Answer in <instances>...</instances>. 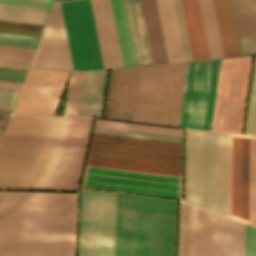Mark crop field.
<instances>
[{
	"label": "crop field",
	"mask_w": 256,
	"mask_h": 256,
	"mask_svg": "<svg viewBox=\"0 0 256 256\" xmlns=\"http://www.w3.org/2000/svg\"><path fill=\"white\" fill-rule=\"evenodd\" d=\"M227 134L186 129L185 201L226 216ZM227 216L256 226V137L228 134Z\"/></svg>",
	"instance_id": "obj_1"
},
{
	"label": "crop field",
	"mask_w": 256,
	"mask_h": 256,
	"mask_svg": "<svg viewBox=\"0 0 256 256\" xmlns=\"http://www.w3.org/2000/svg\"><path fill=\"white\" fill-rule=\"evenodd\" d=\"M77 193L0 191V256H74Z\"/></svg>",
	"instance_id": "obj_2"
},
{
	"label": "crop field",
	"mask_w": 256,
	"mask_h": 256,
	"mask_svg": "<svg viewBox=\"0 0 256 256\" xmlns=\"http://www.w3.org/2000/svg\"><path fill=\"white\" fill-rule=\"evenodd\" d=\"M85 150L0 145V189L77 191Z\"/></svg>",
	"instance_id": "obj_3"
},
{
	"label": "crop field",
	"mask_w": 256,
	"mask_h": 256,
	"mask_svg": "<svg viewBox=\"0 0 256 256\" xmlns=\"http://www.w3.org/2000/svg\"><path fill=\"white\" fill-rule=\"evenodd\" d=\"M176 201L117 194L114 256H174Z\"/></svg>",
	"instance_id": "obj_4"
},
{
	"label": "crop field",
	"mask_w": 256,
	"mask_h": 256,
	"mask_svg": "<svg viewBox=\"0 0 256 256\" xmlns=\"http://www.w3.org/2000/svg\"><path fill=\"white\" fill-rule=\"evenodd\" d=\"M86 164L180 176V144L93 133Z\"/></svg>",
	"instance_id": "obj_5"
},
{
	"label": "crop field",
	"mask_w": 256,
	"mask_h": 256,
	"mask_svg": "<svg viewBox=\"0 0 256 256\" xmlns=\"http://www.w3.org/2000/svg\"><path fill=\"white\" fill-rule=\"evenodd\" d=\"M73 69L103 68L90 1L60 3ZM69 51L37 49L31 67L72 69Z\"/></svg>",
	"instance_id": "obj_6"
},
{
	"label": "crop field",
	"mask_w": 256,
	"mask_h": 256,
	"mask_svg": "<svg viewBox=\"0 0 256 256\" xmlns=\"http://www.w3.org/2000/svg\"><path fill=\"white\" fill-rule=\"evenodd\" d=\"M186 66L142 67L134 121L177 126Z\"/></svg>",
	"instance_id": "obj_7"
},
{
	"label": "crop field",
	"mask_w": 256,
	"mask_h": 256,
	"mask_svg": "<svg viewBox=\"0 0 256 256\" xmlns=\"http://www.w3.org/2000/svg\"><path fill=\"white\" fill-rule=\"evenodd\" d=\"M220 63H188L178 126L211 130Z\"/></svg>",
	"instance_id": "obj_8"
},
{
	"label": "crop field",
	"mask_w": 256,
	"mask_h": 256,
	"mask_svg": "<svg viewBox=\"0 0 256 256\" xmlns=\"http://www.w3.org/2000/svg\"><path fill=\"white\" fill-rule=\"evenodd\" d=\"M251 59H222L212 130L241 133Z\"/></svg>",
	"instance_id": "obj_9"
},
{
	"label": "crop field",
	"mask_w": 256,
	"mask_h": 256,
	"mask_svg": "<svg viewBox=\"0 0 256 256\" xmlns=\"http://www.w3.org/2000/svg\"><path fill=\"white\" fill-rule=\"evenodd\" d=\"M96 191L82 189L78 256H93ZM116 194L97 191L94 256H113Z\"/></svg>",
	"instance_id": "obj_10"
},
{
	"label": "crop field",
	"mask_w": 256,
	"mask_h": 256,
	"mask_svg": "<svg viewBox=\"0 0 256 256\" xmlns=\"http://www.w3.org/2000/svg\"><path fill=\"white\" fill-rule=\"evenodd\" d=\"M82 187L180 199V177L87 165Z\"/></svg>",
	"instance_id": "obj_11"
},
{
	"label": "crop field",
	"mask_w": 256,
	"mask_h": 256,
	"mask_svg": "<svg viewBox=\"0 0 256 256\" xmlns=\"http://www.w3.org/2000/svg\"><path fill=\"white\" fill-rule=\"evenodd\" d=\"M67 71L29 68L13 113L52 115Z\"/></svg>",
	"instance_id": "obj_12"
},
{
	"label": "crop field",
	"mask_w": 256,
	"mask_h": 256,
	"mask_svg": "<svg viewBox=\"0 0 256 256\" xmlns=\"http://www.w3.org/2000/svg\"><path fill=\"white\" fill-rule=\"evenodd\" d=\"M195 207L182 202L180 256H193ZM220 215L196 207L194 256H218Z\"/></svg>",
	"instance_id": "obj_13"
},
{
	"label": "crop field",
	"mask_w": 256,
	"mask_h": 256,
	"mask_svg": "<svg viewBox=\"0 0 256 256\" xmlns=\"http://www.w3.org/2000/svg\"><path fill=\"white\" fill-rule=\"evenodd\" d=\"M92 118L71 116H11L4 134L88 136Z\"/></svg>",
	"instance_id": "obj_14"
},
{
	"label": "crop field",
	"mask_w": 256,
	"mask_h": 256,
	"mask_svg": "<svg viewBox=\"0 0 256 256\" xmlns=\"http://www.w3.org/2000/svg\"><path fill=\"white\" fill-rule=\"evenodd\" d=\"M103 66L121 67V58L115 32L110 0H90Z\"/></svg>",
	"instance_id": "obj_15"
},
{
	"label": "crop field",
	"mask_w": 256,
	"mask_h": 256,
	"mask_svg": "<svg viewBox=\"0 0 256 256\" xmlns=\"http://www.w3.org/2000/svg\"><path fill=\"white\" fill-rule=\"evenodd\" d=\"M168 63L185 61L173 0H156Z\"/></svg>",
	"instance_id": "obj_16"
},
{
	"label": "crop field",
	"mask_w": 256,
	"mask_h": 256,
	"mask_svg": "<svg viewBox=\"0 0 256 256\" xmlns=\"http://www.w3.org/2000/svg\"><path fill=\"white\" fill-rule=\"evenodd\" d=\"M108 69L87 71L80 116L101 117Z\"/></svg>",
	"instance_id": "obj_17"
},
{
	"label": "crop field",
	"mask_w": 256,
	"mask_h": 256,
	"mask_svg": "<svg viewBox=\"0 0 256 256\" xmlns=\"http://www.w3.org/2000/svg\"><path fill=\"white\" fill-rule=\"evenodd\" d=\"M123 66L138 65L125 0H111Z\"/></svg>",
	"instance_id": "obj_18"
},
{
	"label": "crop field",
	"mask_w": 256,
	"mask_h": 256,
	"mask_svg": "<svg viewBox=\"0 0 256 256\" xmlns=\"http://www.w3.org/2000/svg\"><path fill=\"white\" fill-rule=\"evenodd\" d=\"M193 60L209 59L198 0H181Z\"/></svg>",
	"instance_id": "obj_19"
},
{
	"label": "crop field",
	"mask_w": 256,
	"mask_h": 256,
	"mask_svg": "<svg viewBox=\"0 0 256 256\" xmlns=\"http://www.w3.org/2000/svg\"><path fill=\"white\" fill-rule=\"evenodd\" d=\"M224 58L240 56L229 0H213Z\"/></svg>",
	"instance_id": "obj_20"
},
{
	"label": "crop field",
	"mask_w": 256,
	"mask_h": 256,
	"mask_svg": "<svg viewBox=\"0 0 256 256\" xmlns=\"http://www.w3.org/2000/svg\"><path fill=\"white\" fill-rule=\"evenodd\" d=\"M153 64L167 63L155 0H141Z\"/></svg>",
	"instance_id": "obj_21"
},
{
	"label": "crop field",
	"mask_w": 256,
	"mask_h": 256,
	"mask_svg": "<svg viewBox=\"0 0 256 256\" xmlns=\"http://www.w3.org/2000/svg\"><path fill=\"white\" fill-rule=\"evenodd\" d=\"M245 224L221 215L219 256H244Z\"/></svg>",
	"instance_id": "obj_22"
},
{
	"label": "crop field",
	"mask_w": 256,
	"mask_h": 256,
	"mask_svg": "<svg viewBox=\"0 0 256 256\" xmlns=\"http://www.w3.org/2000/svg\"><path fill=\"white\" fill-rule=\"evenodd\" d=\"M139 65L152 64L140 0H126Z\"/></svg>",
	"instance_id": "obj_23"
},
{
	"label": "crop field",
	"mask_w": 256,
	"mask_h": 256,
	"mask_svg": "<svg viewBox=\"0 0 256 256\" xmlns=\"http://www.w3.org/2000/svg\"><path fill=\"white\" fill-rule=\"evenodd\" d=\"M210 59L223 58L212 0H199Z\"/></svg>",
	"instance_id": "obj_24"
},
{
	"label": "crop field",
	"mask_w": 256,
	"mask_h": 256,
	"mask_svg": "<svg viewBox=\"0 0 256 256\" xmlns=\"http://www.w3.org/2000/svg\"><path fill=\"white\" fill-rule=\"evenodd\" d=\"M49 11L0 5V20L44 25Z\"/></svg>",
	"instance_id": "obj_25"
},
{
	"label": "crop field",
	"mask_w": 256,
	"mask_h": 256,
	"mask_svg": "<svg viewBox=\"0 0 256 256\" xmlns=\"http://www.w3.org/2000/svg\"><path fill=\"white\" fill-rule=\"evenodd\" d=\"M35 49L0 45V65L27 68Z\"/></svg>",
	"instance_id": "obj_26"
},
{
	"label": "crop field",
	"mask_w": 256,
	"mask_h": 256,
	"mask_svg": "<svg viewBox=\"0 0 256 256\" xmlns=\"http://www.w3.org/2000/svg\"><path fill=\"white\" fill-rule=\"evenodd\" d=\"M83 71H71L64 115H77Z\"/></svg>",
	"instance_id": "obj_27"
},
{
	"label": "crop field",
	"mask_w": 256,
	"mask_h": 256,
	"mask_svg": "<svg viewBox=\"0 0 256 256\" xmlns=\"http://www.w3.org/2000/svg\"><path fill=\"white\" fill-rule=\"evenodd\" d=\"M93 132L121 135V136H129V137H137V138H145V139H153V140H161V141H169V142H177V143H180V140H181V137H178V136H170V135H162V134L98 127V126L94 127Z\"/></svg>",
	"instance_id": "obj_28"
},
{
	"label": "crop field",
	"mask_w": 256,
	"mask_h": 256,
	"mask_svg": "<svg viewBox=\"0 0 256 256\" xmlns=\"http://www.w3.org/2000/svg\"><path fill=\"white\" fill-rule=\"evenodd\" d=\"M42 36L66 37L59 3H54Z\"/></svg>",
	"instance_id": "obj_29"
},
{
	"label": "crop field",
	"mask_w": 256,
	"mask_h": 256,
	"mask_svg": "<svg viewBox=\"0 0 256 256\" xmlns=\"http://www.w3.org/2000/svg\"><path fill=\"white\" fill-rule=\"evenodd\" d=\"M95 125L181 136V130H177V129L109 122V121H101V120H97Z\"/></svg>",
	"instance_id": "obj_30"
},
{
	"label": "crop field",
	"mask_w": 256,
	"mask_h": 256,
	"mask_svg": "<svg viewBox=\"0 0 256 256\" xmlns=\"http://www.w3.org/2000/svg\"><path fill=\"white\" fill-rule=\"evenodd\" d=\"M239 37L256 35V13L234 15Z\"/></svg>",
	"instance_id": "obj_31"
},
{
	"label": "crop field",
	"mask_w": 256,
	"mask_h": 256,
	"mask_svg": "<svg viewBox=\"0 0 256 256\" xmlns=\"http://www.w3.org/2000/svg\"><path fill=\"white\" fill-rule=\"evenodd\" d=\"M245 134L256 135V65Z\"/></svg>",
	"instance_id": "obj_32"
},
{
	"label": "crop field",
	"mask_w": 256,
	"mask_h": 256,
	"mask_svg": "<svg viewBox=\"0 0 256 256\" xmlns=\"http://www.w3.org/2000/svg\"><path fill=\"white\" fill-rule=\"evenodd\" d=\"M39 38L0 33V43L35 47Z\"/></svg>",
	"instance_id": "obj_33"
},
{
	"label": "crop field",
	"mask_w": 256,
	"mask_h": 256,
	"mask_svg": "<svg viewBox=\"0 0 256 256\" xmlns=\"http://www.w3.org/2000/svg\"><path fill=\"white\" fill-rule=\"evenodd\" d=\"M186 61L192 60L180 0H174Z\"/></svg>",
	"instance_id": "obj_34"
},
{
	"label": "crop field",
	"mask_w": 256,
	"mask_h": 256,
	"mask_svg": "<svg viewBox=\"0 0 256 256\" xmlns=\"http://www.w3.org/2000/svg\"><path fill=\"white\" fill-rule=\"evenodd\" d=\"M53 0H0V4L49 10Z\"/></svg>",
	"instance_id": "obj_35"
},
{
	"label": "crop field",
	"mask_w": 256,
	"mask_h": 256,
	"mask_svg": "<svg viewBox=\"0 0 256 256\" xmlns=\"http://www.w3.org/2000/svg\"><path fill=\"white\" fill-rule=\"evenodd\" d=\"M19 90L0 88V110L11 111Z\"/></svg>",
	"instance_id": "obj_36"
},
{
	"label": "crop field",
	"mask_w": 256,
	"mask_h": 256,
	"mask_svg": "<svg viewBox=\"0 0 256 256\" xmlns=\"http://www.w3.org/2000/svg\"><path fill=\"white\" fill-rule=\"evenodd\" d=\"M37 48L69 50L66 38L41 37Z\"/></svg>",
	"instance_id": "obj_37"
},
{
	"label": "crop field",
	"mask_w": 256,
	"mask_h": 256,
	"mask_svg": "<svg viewBox=\"0 0 256 256\" xmlns=\"http://www.w3.org/2000/svg\"><path fill=\"white\" fill-rule=\"evenodd\" d=\"M245 256H256V228L246 224Z\"/></svg>",
	"instance_id": "obj_38"
},
{
	"label": "crop field",
	"mask_w": 256,
	"mask_h": 256,
	"mask_svg": "<svg viewBox=\"0 0 256 256\" xmlns=\"http://www.w3.org/2000/svg\"><path fill=\"white\" fill-rule=\"evenodd\" d=\"M234 14L256 12L254 0H231Z\"/></svg>",
	"instance_id": "obj_39"
},
{
	"label": "crop field",
	"mask_w": 256,
	"mask_h": 256,
	"mask_svg": "<svg viewBox=\"0 0 256 256\" xmlns=\"http://www.w3.org/2000/svg\"><path fill=\"white\" fill-rule=\"evenodd\" d=\"M242 55L256 54V36L239 38Z\"/></svg>",
	"instance_id": "obj_40"
},
{
	"label": "crop field",
	"mask_w": 256,
	"mask_h": 256,
	"mask_svg": "<svg viewBox=\"0 0 256 256\" xmlns=\"http://www.w3.org/2000/svg\"><path fill=\"white\" fill-rule=\"evenodd\" d=\"M11 112L0 111V133L3 132L6 122Z\"/></svg>",
	"instance_id": "obj_41"
},
{
	"label": "crop field",
	"mask_w": 256,
	"mask_h": 256,
	"mask_svg": "<svg viewBox=\"0 0 256 256\" xmlns=\"http://www.w3.org/2000/svg\"><path fill=\"white\" fill-rule=\"evenodd\" d=\"M57 1H61V0H57Z\"/></svg>",
	"instance_id": "obj_42"
}]
</instances>
